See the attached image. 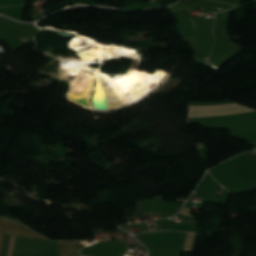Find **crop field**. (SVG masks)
Returning a JSON list of instances; mask_svg holds the SVG:
<instances>
[{"label":"crop field","mask_w":256,"mask_h":256,"mask_svg":"<svg viewBox=\"0 0 256 256\" xmlns=\"http://www.w3.org/2000/svg\"><path fill=\"white\" fill-rule=\"evenodd\" d=\"M0 222L3 227L4 234L19 235V236L37 238V239H47L31 231L30 229L22 225H19L17 223H14L8 219L0 217Z\"/></svg>","instance_id":"obj_1"}]
</instances>
